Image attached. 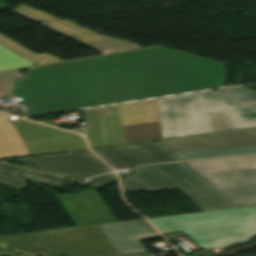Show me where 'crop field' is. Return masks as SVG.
Wrapping results in <instances>:
<instances>
[{"label": "crop field", "instance_id": "7", "mask_svg": "<svg viewBox=\"0 0 256 256\" xmlns=\"http://www.w3.org/2000/svg\"><path fill=\"white\" fill-rule=\"evenodd\" d=\"M99 228L94 225L41 233L51 256H119Z\"/></svg>", "mask_w": 256, "mask_h": 256}, {"label": "crop field", "instance_id": "4", "mask_svg": "<svg viewBox=\"0 0 256 256\" xmlns=\"http://www.w3.org/2000/svg\"><path fill=\"white\" fill-rule=\"evenodd\" d=\"M121 182L124 192L178 190L204 211L237 207L185 162L135 167Z\"/></svg>", "mask_w": 256, "mask_h": 256}, {"label": "crop field", "instance_id": "19", "mask_svg": "<svg viewBox=\"0 0 256 256\" xmlns=\"http://www.w3.org/2000/svg\"><path fill=\"white\" fill-rule=\"evenodd\" d=\"M90 180L98 187L105 186L117 181L115 173L91 178Z\"/></svg>", "mask_w": 256, "mask_h": 256}, {"label": "crop field", "instance_id": "13", "mask_svg": "<svg viewBox=\"0 0 256 256\" xmlns=\"http://www.w3.org/2000/svg\"><path fill=\"white\" fill-rule=\"evenodd\" d=\"M18 118L0 114V159L30 155L12 120Z\"/></svg>", "mask_w": 256, "mask_h": 256}, {"label": "crop field", "instance_id": "6", "mask_svg": "<svg viewBox=\"0 0 256 256\" xmlns=\"http://www.w3.org/2000/svg\"><path fill=\"white\" fill-rule=\"evenodd\" d=\"M161 142L182 160L254 154L256 129Z\"/></svg>", "mask_w": 256, "mask_h": 256}, {"label": "crop field", "instance_id": "18", "mask_svg": "<svg viewBox=\"0 0 256 256\" xmlns=\"http://www.w3.org/2000/svg\"><path fill=\"white\" fill-rule=\"evenodd\" d=\"M15 69L0 72V97H9L12 94Z\"/></svg>", "mask_w": 256, "mask_h": 256}, {"label": "crop field", "instance_id": "10", "mask_svg": "<svg viewBox=\"0 0 256 256\" xmlns=\"http://www.w3.org/2000/svg\"><path fill=\"white\" fill-rule=\"evenodd\" d=\"M116 170L145 163L181 160L160 141L93 150Z\"/></svg>", "mask_w": 256, "mask_h": 256}, {"label": "crop field", "instance_id": "8", "mask_svg": "<svg viewBox=\"0 0 256 256\" xmlns=\"http://www.w3.org/2000/svg\"><path fill=\"white\" fill-rule=\"evenodd\" d=\"M16 160L27 168L78 179L112 171L88 150Z\"/></svg>", "mask_w": 256, "mask_h": 256}, {"label": "crop field", "instance_id": "9", "mask_svg": "<svg viewBox=\"0 0 256 256\" xmlns=\"http://www.w3.org/2000/svg\"><path fill=\"white\" fill-rule=\"evenodd\" d=\"M31 155L86 149L83 137L30 122L13 121Z\"/></svg>", "mask_w": 256, "mask_h": 256}, {"label": "crop field", "instance_id": "17", "mask_svg": "<svg viewBox=\"0 0 256 256\" xmlns=\"http://www.w3.org/2000/svg\"><path fill=\"white\" fill-rule=\"evenodd\" d=\"M34 64L0 46V71Z\"/></svg>", "mask_w": 256, "mask_h": 256}, {"label": "crop field", "instance_id": "16", "mask_svg": "<svg viewBox=\"0 0 256 256\" xmlns=\"http://www.w3.org/2000/svg\"><path fill=\"white\" fill-rule=\"evenodd\" d=\"M19 173L33 182L52 186L56 189H64V186L61 185V177L59 176L36 172L24 168H21Z\"/></svg>", "mask_w": 256, "mask_h": 256}, {"label": "crop field", "instance_id": "12", "mask_svg": "<svg viewBox=\"0 0 256 256\" xmlns=\"http://www.w3.org/2000/svg\"><path fill=\"white\" fill-rule=\"evenodd\" d=\"M98 226L121 256L148 253L139 241L160 236L145 220Z\"/></svg>", "mask_w": 256, "mask_h": 256}, {"label": "crop field", "instance_id": "2", "mask_svg": "<svg viewBox=\"0 0 256 256\" xmlns=\"http://www.w3.org/2000/svg\"><path fill=\"white\" fill-rule=\"evenodd\" d=\"M90 148L256 128L245 87L84 111Z\"/></svg>", "mask_w": 256, "mask_h": 256}, {"label": "crop field", "instance_id": "14", "mask_svg": "<svg viewBox=\"0 0 256 256\" xmlns=\"http://www.w3.org/2000/svg\"><path fill=\"white\" fill-rule=\"evenodd\" d=\"M0 241L22 251L47 250L40 232L2 236Z\"/></svg>", "mask_w": 256, "mask_h": 256}, {"label": "crop field", "instance_id": "20", "mask_svg": "<svg viewBox=\"0 0 256 256\" xmlns=\"http://www.w3.org/2000/svg\"><path fill=\"white\" fill-rule=\"evenodd\" d=\"M71 131L76 132V133H80V134H83V135H84V132H83V130H81V129L71 130Z\"/></svg>", "mask_w": 256, "mask_h": 256}, {"label": "crop field", "instance_id": "5", "mask_svg": "<svg viewBox=\"0 0 256 256\" xmlns=\"http://www.w3.org/2000/svg\"><path fill=\"white\" fill-rule=\"evenodd\" d=\"M186 163L238 207L256 204V156Z\"/></svg>", "mask_w": 256, "mask_h": 256}, {"label": "crop field", "instance_id": "15", "mask_svg": "<svg viewBox=\"0 0 256 256\" xmlns=\"http://www.w3.org/2000/svg\"><path fill=\"white\" fill-rule=\"evenodd\" d=\"M17 171V167L0 163V183L21 191L29 181L19 177Z\"/></svg>", "mask_w": 256, "mask_h": 256}, {"label": "crop field", "instance_id": "11", "mask_svg": "<svg viewBox=\"0 0 256 256\" xmlns=\"http://www.w3.org/2000/svg\"><path fill=\"white\" fill-rule=\"evenodd\" d=\"M57 197L76 227L115 222L95 189Z\"/></svg>", "mask_w": 256, "mask_h": 256}, {"label": "crop field", "instance_id": "1", "mask_svg": "<svg viewBox=\"0 0 256 256\" xmlns=\"http://www.w3.org/2000/svg\"><path fill=\"white\" fill-rule=\"evenodd\" d=\"M224 87V65L157 46L28 67L18 80L23 115Z\"/></svg>", "mask_w": 256, "mask_h": 256}, {"label": "crop field", "instance_id": "3", "mask_svg": "<svg viewBox=\"0 0 256 256\" xmlns=\"http://www.w3.org/2000/svg\"><path fill=\"white\" fill-rule=\"evenodd\" d=\"M163 234L181 231L200 248H218L256 236V205L149 219Z\"/></svg>", "mask_w": 256, "mask_h": 256}]
</instances>
